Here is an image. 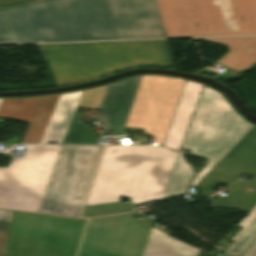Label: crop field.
<instances>
[{"label": "crop field", "instance_id": "crop-field-6", "mask_svg": "<svg viewBox=\"0 0 256 256\" xmlns=\"http://www.w3.org/2000/svg\"><path fill=\"white\" fill-rule=\"evenodd\" d=\"M103 146H62L39 212L78 217Z\"/></svg>", "mask_w": 256, "mask_h": 256}, {"label": "crop field", "instance_id": "crop-field-21", "mask_svg": "<svg viewBox=\"0 0 256 256\" xmlns=\"http://www.w3.org/2000/svg\"><path fill=\"white\" fill-rule=\"evenodd\" d=\"M12 212L0 210V256H5Z\"/></svg>", "mask_w": 256, "mask_h": 256}, {"label": "crop field", "instance_id": "crop-field-3", "mask_svg": "<svg viewBox=\"0 0 256 256\" xmlns=\"http://www.w3.org/2000/svg\"><path fill=\"white\" fill-rule=\"evenodd\" d=\"M58 85L101 77L140 65L171 66L165 40L38 45Z\"/></svg>", "mask_w": 256, "mask_h": 256}, {"label": "crop field", "instance_id": "crop-field-13", "mask_svg": "<svg viewBox=\"0 0 256 256\" xmlns=\"http://www.w3.org/2000/svg\"><path fill=\"white\" fill-rule=\"evenodd\" d=\"M59 95L4 98L0 117L29 123L20 144H39Z\"/></svg>", "mask_w": 256, "mask_h": 256}, {"label": "crop field", "instance_id": "crop-field-15", "mask_svg": "<svg viewBox=\"0 0 256 256\" xmlns=\"http://www.w3.org/2000/svg\"><path fill=\"white\" fill-rule=\"evenodd\" d=\"M231 50L217 64L240 71L256 63V36L197 38Z\"/></svg>", "mask_w": 256, "mask_h": 256}, {"label": "crop field", "instance_id": "crop-field-20", "mask_svg": "<svg viewBox=\"0 0 256 256\" xmlns=\"http://www.w3.org/2000/svg\"><path fill=\"white\" fill-rule=\"evenodd\" d=\"M255 240H256V220L233 243V245L227 250V252L240 256Z\"/></svg>", "mask_w": 256, "mask_h": 256}, {"label": "crop field", "instance_id": "crop-field-12", "mask_svg": "<svg viewBox=\"0 0 256 256\" xmlns=\"http://www.w3.org/2000/svg\"><path fill=\"white\" fill-rule=\"evenodd\" d=\"M140 77L84 90L75 112L78 111L79 106L99 108L106 126L115 136H119L136 93Z\"/></svg>", "mask_w": 256, "mask_h": 256}, {"label": "crop field", "instance_id": "crop-field-27", "mask_svg": "<svg viewBox=\"0 0 256 256\" xmlns=\"http://www.w3.org/2000/svg\"><path fill=\"white\" fill-rule=\"evenodd\" d=\"M2 100H3V98H0V104H1Z\"/></svg>", "mask_w": 256, "mask_h": 256}, {"label": "crop field", "instance_id": "crop-field-2", "mask_svg": "<svg viewBox=\"0 0 256 256\" xmlns=\"http://www.w3.org/2000/svg\"><path fill=\"white\" fill-rule=\"evenodd\" d=\"M177 154L156 146H106L85 205L121 196L135 204L161 198Z\"/></svg>", "mask_w": 256, "mask_h": 256}, {"label": "crop field", "instance_id": "crop-field-22", "mask_svg": "<svg viewBox=\"0 0 256 256\" xmlns=\"http://www.w3.org/2000/svg\"><path fill=\"white\" fill-rule=\"evenodd\" d=\"M255 218H256V207L248 214L246 218H244L239 223V225L243 228L237 233V235L232 240H234Z\"/></svg>", "mask_w": 256, "mask_h": 256}, {"label": "crop field", "instance_id": "crop-field-9", "mask_svg": "<svg viewBox=\"0 0 256 256\" xmlns=\"http://www.w3.org/2000/svg\"><path fill=\"white\" fill-rule=\"evenodd\" d=\"M184 79L144 75L124 126L145 129L153 145H162L172 121Z\"/></svg>", "mask_w": 256, "mask_h": 256}, {"label": "crop field", "instance_id": "crop-field-1", "mask_svg": "<svg viewBox=\"0 0 256 256\" xmlns=\"http://www.w3.org/2000/svg\"><path fill=\"white\" fill-rule=\"evenodd\" d=\"M165 37L155 0H37L0 9V44Z\"/></svg>", "mask_w": 256, "mask_h": 256}, {"label": "crop field", "instance_id": "crop-field-26", "mask_svg": "<svg viewBox=\"0 0 256 256\" xmlns=\"http://www.w3.org/2000/svg\"><path fill=\"white\" fill-rule=\"evenodd\" d=\"M222 256H230V255H228V254H223Z\"/></svg>", "mask_w": 256, "mask_h": 256}, {"label": "crop field", "instance_id": "crop-field-7", "mask_svg": "<svg viewBox=\"0 0 256 256\" xmlns=\"http://www.w3.org/2000/svg\"><path fill=\"white\" fill-rule=\"evenodd\" d=\"M84 221L15 212L8 256H75Z\"/></svg>", "mask_w": 256, "mask_h": 256}, {"label": "crop field", "instance_id": "crop-field-24", "mask_svg": "<svg viewBox=\"0 0 256 256\" xmlns=\"http://www.w3.org/2000/svg\"><path fill=\"white\" fill-rule=\"evenodd\" d=\"M243 256H256V242L249 248Z\"/></svg>", "mask_w": 256, "mask_h": 256}, {"label": "crop field", "instance_id": "crop-field-4", "mask_svg": "<svg viewBox=\"0 0 256 256\" xmlns=\"http://www.w3.org/2000/svg\"><path fill=\"white\" fill-rule=\"evenodd\" d=\"M166 37L256 33V0H156Z\"/></svg>", "mask_w": 256, "mask_h": 256}, {"label": "crop field", "instance_id": "crop-field-19", "mask_svg": "<svg viewBox=\"0 0 256 256\" xmlns=\"http://www.w3.org/2000/svg\"><path fill=\"white\" fill-rule=\"evenodd\" d=\"M136 205L131 201L89 205L84 207L82 217L132 211Z\"/></svg>", "mask_w": 256, "mask_h": 256}, {"label": "crop field", "instance_id": "crop-field-18", "mask_svg": "<svg viewBox=\"0 0 256 256\" xmlns=\"http://www.w3.org/2000/svg\"><path fill=\"white\" fill-rule=\"evenodd\" d=\"M194 175L191 165L185 163L181 153H179L163 198L173 194L185 193L189 180Z\"/></svg>", "mask_w": 256, "mask_h": 256}, {"label": "crop field", "instance_id": "crop-field-8", "mask_svg": "<svg viewBox=\"0 0 256 256\" xmlns=\"http://www.w3.org/2000/svg\"><path fill=\"white\" fill-rule=\"evenodd\" d=\"M61 146H30L26 159L0 168V208L38 212Z\"/></svg>", "mask_w": 256, "mask_h": 256}, {"label": "crop field", "instance_id": "crop-field-5", "mask_svg": "<svg viewBox=\"0 0 256 256\" xmlns=\"http://www.w3.org/2000/svg\"><path fill=\"white\" fill-rule=\"evenodd\" d=\"M254 126L243 119L223 95L204 86L182 149H192L193 154L209 160L191 186H197Z\"/></svg>", "mask_w": 256, "mask_h": 256}, {"label": "crop field", "instance_id": "crop-field-25", "mask_svg": "<svg viewBox=\"0 0 256 256\" xmlns=\"http://www.w3.org/2000/svg\"><path fill=\"white\" fill-rule=\"evenodd\" d=\"M227 70H228V69H227ZM225 71H226V70H225ZM238 73H239V72L232 71V70H228V71L222 73V75H223L224 77H233V76L237 75Z\"/></svg>", "mask_w": 256, "mask_h": 256}, {"label": "crop field", "instance_id": "crop-field-23", "mask_svg": "<svg viewBox=\"0 0 256 256\" xmlns=\"http://www.w3.org/2000/svg\"><path fill=\"white\" fill-rule=\"evenodd\" d=\"M27 1H31V0H0V7L6 6V5L22 3V2H27Z\"/></svg>", "mask_w": 256, "mask_h": 256}, {"label": "crop field", "instance_id": "crop-field-10", "mask_svg": "<svg viewBox=\"0 0 256 256\" xmlns=\"http://www.w3.org/2000/svg\"><path fill=\"white\" fill-rule=\"evenodd\" d=\"M242 172L252 181L238 180L231 191L212 206L250 212L256 205V126L198 184L202 195L218 183L230 186Z\"/></svg>", "mask_w": 256, "mask_h": 256}, {"label": "crop field", "instance_id": "crop-field-14", "mask_svg": "<svg viewBox=\"0 0 256 256\" xmlns=\"http://www.w3.org/2000/svg\"><path fill=\"white\" fill-rule=\"evenodd\" d=\"M202 84L186 81L173 121L164 141L165 146L180 150L188 129L195 105L202 90Z\"/></svg>", "mask_w": 256, "mask_h": 256}, {"label": "crop field", "instance_id": "crop-field-16", "mask_svg": "<svg viewBox=\"0 0 256 256\" xmlns=\"http://www.w3.org/2000/svg\"><path fill=\"white\" fill-rule=\"evenodd\" d=\"M82 91L61 94L40 144H46V141L62 143Z\"/></svg>", "mask_w": 256, "mask_h": 256}, {"label": "crop field", "instance_id": "crop-field-17", "mask_svg": "<svg viewBox=\"0 0 256 256\" xmlns=\"http://www.w3.org/2000/svg\"><path fill=\"white\" fill-rule=\"evenodd\" d=\"M198 250L152 229L143 256H197Z\"/></svg>", "mask_w": 256, "mask_h": 256}, {"label": "crop field", "instance_id": "crop-field-11", "mask_svg": "<svg viewBox=\"0 0 256 256\" xmlns=\"http://www.w3.org/2000/svg\"><path fill=\"white\" fill-rule=\"evenodd\" d=\"M151 229L131 213L87 219L76 256H141Z\"/></svg>", "mask_w": 256, "mask_h": 256}]
</instances>
